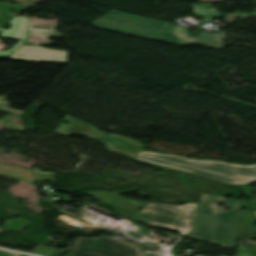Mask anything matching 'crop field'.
<instances>
[{
	"instance_id": "crop-field-1",
	"label": "crop field",
	"mask_w": 256,
	"mask_h": 256,
	"mask_svg": "<svg viewBox=\"0 0 256 256\" xmlns=\"http://www.w3.org/2000/svg\"><path fill=\"white\" fill-rule=\"evenodd\" d=\"M89 24L115 32L132 34L137 37L164 41L180 46L191 43L223 48L221 37L200 32L198 38L191 37L187 27L113 11Z\"/></svg>"
},
{
	"instance_id": "crop-field-2",
	"label": "crop field",
	"mask_w": 256,
	"mask_h": 256,
	"mask_svg": "<svg viewBox=\"0 0 256 256\" xmlns=\"http://www.w3.org/2000/svg\"><path fill=\"white\" fill-rule=\"evenodd\" d=\"M135 159L235 185L256 181V165L240 166L219 161H197L175 155H163L145 151H140Z\"/></svg>"
},
{
	"instance_id": "crop-field-3",
	"label": "crop field",
	"mask_w": 256,
	"mask_h": 256,
	"mask_svg": "<svg viewBox=\"0 0 256 256\" xmlns=\"http://www.w3.org/2000/svg\"><path fill=\"white\" fill-rule=\"evenodd\" d=\"M218 202L228 205L231 210L218 209L212 203ZM237 200L203 195L198 205V215L195 220L194 230L188 236L214 242L226 247H234L233 241L236 231ZM216 216H213V215Z\"/></svg>"
},
{
	"instance_id": "crop-field-4",
	"label": "crop field",
	"mask_w": 256,
	"mask_h": 256,
	"mask_svg": "<svg viewBox=\"0 0 256 256\" xmlns=\"http://www.w3.org/2000/svg\"><path fill=\"white\" fill-rule=\"evenodd\" d=\"M198 203L169 205L149 203L132 219L149 223L157 228L178 230L182 236L192 232Z\"/></svg>"
},
{
	"instance_id": "crop-field-5",
	"label": "crop field",
	"mask_w": 256,
	"mask_h": 256,
	"mask_svg": "<svg viewBox=\"0 0 256 256\" xmlns=\"http://www.w3.org/2000/svg\"><path fill=\"white\" fill-rule=\"evenodd\" d=\"M141 247L108 236L77 238L69 256H153L140 252Z\"/></svg>"
},
{
	"instance_id": "crop-field-6",
	"label": "crop field",
	"mask_w": 256,
	"mask_h": 256,
	"mask_svg": "<svg viewBox=\"0 0 256 256\" xmlns=\"http://www.w3.org/2000/svg\"><path fill=\"white\" fill-rule=\"evenodd\" d=\"M139 188L140 186H136V187L126 189L123 191H118V192L90 191V192H82L81 194L94 195L105 202L103 206L109 205L110 207H112L114 209L115 214H118L126 218H131L133 215L137 213L136 211L145 203L123 198L118 196L117 194L139 189Z\"/></svg>"
},
{
	"instance_id": "crop-field-7",
	"label": "crop field",
	"mask_w": 256,
	"mask_h": 256,
	"mask_svg": "<svg viewBox=\"0 0 256 256\" xmlns=\"http://www.w3.org/2000/svg\"><path fill=\"white\" fill-rule=\"evenodd\" d=\"M52 54H54V56ZM18 55H23V56H18ZM67 56H68L67 51L49 50L41 46L23 45L14 53V56L11 55L9 58L26 60V61H53V62L67 63ZM0 58H7V57H0Z\"/></svg>"
},
{
	"instance_id": "crop-field-8",
	"label": "crop field",
	"mask_w": 256,
	"mask_h": 256,
	"mask_svg": "<svg viewBox=\"0 0 256 256\" xmlns=\"http://www.w3.org/2000/svg\"><path fill=\"white\" fill-rule=\"evenodd\" d=\"M64 121L72 123L71 125L63 124ZM56 133L62 135H84L93 140L98 139L100 136L106 134L105 132L97 129L96 127L85 123L77 118H74L66 114L64 120L61 122L60 127L56 130Z\"/></svg>"
},
{
	"instance_id": "crop-field-9",
	"label": "crop field",
	"mask_w": 256,
	"mask_h": 256,
	"mask_svg": "<svg viewBox=\"0 0 256 256\" xmlns=\"http://www.w3.org/2000/svg\"><path fill=\"white\" fill-rule=\"evenodd\" d=\"M245 207L247 211H241ZM248 201L240 200L238 231L236 241L244 237L256 239V217Z\"/></svg>"
},
{
	"instance_id": "crop-field-10",
	"label": "crop field",
	"mask_w": 256,
	"mask_h": 256,
	"mask_svg": "<svg viewBox=\"0 0 256 256\" xmlns=\"http://www.w3.org/2000/svg\"><path fill=\"white\" fill-rule=\"evenodd\" d=\"M28 18L25 17H17L11 20V28L8 30H2L3 33L1 36L4 37H11V38H18L22 39L18 44H16L12 49L9 51H0V55H7L10 54L12 51H14L16 48H18L20 45L23 44V41L25 39V31L27 27Z\"/></svg>"
},
{
	"instance_id": "crop-field-11",
	"label": "crop field",
	"mask_w": 256,
	"mask_h": 256,
	"mask_svg": "<svg viewBox=\"0 0 256 256\" xmlns=\"http://www.w3.org/2000/svg\"><path fill=\"white\" fill-rule=\"evenodd\" d=\"M36 24L52 26V30H42V29L32 28V26ZM57 25H58L57 23H43L36 20H30L26 41L52 45L53 44L52 41L48 40L47 37L48 36L61 37V35L56 32L55 26ZM42 33H44V35H41Z\"/></svg>"
},
{
	"instance_id": "crop-field-12",
	"label": "crop field",
	"mask_w": 256,
	"mask_h": 256,
	"mask_svg": "<svg viewBox=\"0 0 256 256\" xmlns=\"http://www.w3.org/2000/svg\"><path fill=\"white\" fill-rule=\"evenodd\" d=\"M0 174L29 182H35L33 171L18 165H6L0 163Z\"/></svg>"
},
{
	"instance_id": "crop-field-13",
	"label": "crop field",
	"mask_w": 256,
	"mask_h": 256,
	"mask_svg": "<svg viewBox=\"0 0 256 256\" xmlns=\"http://www.w3.org/2000/svg\"><path fill=\"white\" fill-rule=\"evenodd\" d=\"M104 140H107L109 142L115 143L129 151L137 152L139 151L144 145L134 139L118 136L115 134H107L103 137H101Z\"/></svg>"
},
{
	"instance_id": "crop-field-14",
	"label": "crop field",
	"mask_w": 256,
	"mask_h": 256,
	"mask_svg": "<svg viewBox=\"0 0 256 256\" xmlns=\"http://www.w3.org/2000/svg\"><path fill=\"white\" fill-rule=\"evenodd\" d=\"M34 168L35 178L36 181H49V180H55L54 177L56 173L52 172H42L38 168Z\"/></svg>"
},
{
	"instance_id": "crop-field-15",
	"label": "crop field",
	"mask_w": 256,
	"mask_h": 256,
	"mask_svg": "<svg viewBox=\"0 0 256 256\" xmlns=\"http://www.w3.org/2000/svg\"><path fill=\"white\" fill-rule=\"evenodd\" d=\"M6 99H7L6 96L0 97V112L15 114V115H19V114L23 113V111L8 108L9 105L6 102Z\"/></svg>"
},
{
	"instance_id": "crop-field-16",
	"label": "crop field",
	"mask_w": 256,
	"mask_h": 256,
	"mask_svg": "<svg viewBox=\"0 0 256 256\" xmlns=\"http://www.w3.org/2000/svg\"><path fill=\"white\" fill-rule=\"evenodd\" d=\"M97 141L106 144L108 146V148L110 149V151H112V152H116V153L122 154V155L127 156V157H133L134 156V153L126 151V150H124L122 148H119V147H117L115 145L107 143V142H105L103 140L98 139Z\"/></svg>"
},
{
	"instance_id": "crop-field-17",
	"label": "crop field",
	"mask_w": 256,
	"mask_h": 256,
	"mask_svg": "<svg viewBox=\"0 0 256 256\" xmlns=\"http://www.w3.org/2000/svg\"><path fill=\"white\" fill-rule=\"evenodd\" d=\"M246 195L251 197L252 200H250V204L252 206L253 209L256 210V199L252 197V193H253V190H252V187L250 186H242Z\"/></svg>"
},
{
	"instance_id": "crop-field-18",
	"label": "crop field",
	"mask_w": 256,
	"mask_h": 256,
	"mask_svg": "<svg viewBox=\"0 0 256 256\" xmlns=\"http://www.w3.org/2000/svg\"><path fill=\"white\" fill-rule=\"evenodd\" d=\"M52 250H54V248H50V247H46V246H42L40 245L34 252H32L33 254H38V255H43L46 256L47 254H49Z\"/></svg>"
},
{
	"instance_id": "crop-field-19",
	"label": "crop field",
	"mask_w": 256,
	"mask_h": 256,
	"mask_svg": "<svg viewBox=\"0 0 256 256\" xmlns=\"http://www.w3.org/2000/svg\"><path fill=\"white\" fill-rule=\"evenodd\" d=\"M67 250L55 249L47 256H62Z\"/></svg>"
},
{
	"instance_id": "crop-field-20",
	"label": "crop field",
	"mask_w": 256,
	"mask_h": 256,
	"mask_svg": "<svg viewBox=\"0 0 256 256\" xmlns=\"http://www.w3.org/2000/svg\"><path fill=\"white\" fill-rule=\"evenodd\" d=\"M58 196H59V197H62V198L59 199V200H52V202H54V203L57 202V201L73 202V200H71V199H69V198L74 197V196H69V195L63 196V195H61V194H59Z\"/></svg>"
},
{
	"instance_id": "crop-field-21",
	"label": "crop field",
	"mask_w": 256,
	"mask_h": 256,
	"mask_svg": "<svg viewBox=\"0 0 256 256\" xmlns=\"http://www.w3.org/2000/svg\"><path fill=\"white\" fill-rule=\"evenodd\" d=\"M0 256H27V255L0 251Z\"/></svg>"
},
{
	"instance_id": "crop-field-22",
	"label": "crop field",
	"mask_w": 256,
	"mask_h": 256,
	"mask_svg": "<svg viewBox=\"0 0 256 256\" xmlns=\"http://www.w3.org/2000/svg\"><path fill=\"white\" fill-rule=\"evenodd\" d=\"M249 249H250L254 254H256V246H255V247H249Z\"/></svg>"
},
{
	"instance_id": "crop-field-23",
	"label": "crop field",
	"mask_w": 256,
	"mask_h": 256,
	"mask_svg": "<svg viewBox=\"0 0 256 256\" xmlns=\"http://www.w3.org/2000/svg\"><path fill=\"white\" fill-rule=\"evenodd\" d=\"M255 213H256V211H255Z\"/></svg>"
}]
</instances>
